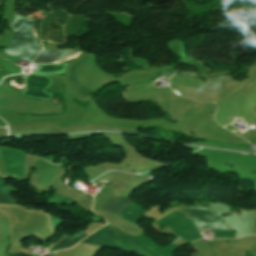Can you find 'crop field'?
Masks as SVG:
<instances>
[{"instance_id": "obj_2", "label": "crop field", "mask_w": 256, "mask_h": 256, "mask_svg": "<svg viewBox=\"0 0 256 256\" xmlns=\"http://www.w3.org/2000/svg\"><path fill=\"white\" fill-rule=\"evenodd\" d=\"M114 237H118L119 240H114ZM80 243H88L97 246L125 248L131 251H137L139 253L145 254L146 256H160L151 248L145 246L136 239L121 235L117 233L116 230L112 229L107 225L95 231L87 238L82 240Z\"/></svg>"}, {"instance_id": "obj_7", "label": "crop field", "mask_w": 256, "mask_h": 256, "mask_svg": "<svg viewBox=\"0 0 256 256\" xmlns=\"http://www.w3.org/2000/svg\"><path fill=\"white\" fill-rule=\"evenodd\" d=\"M0 204H14L5 187L0 188Z\"/></svg>"}, {"instance_id": "obj_4", "label": "crop field", "mask_w": 256, "mask_h": 256, "mask_svg": "<svg viewBox=\"0 0 256 256\" xmlns=\"http://www.w3.org/2000/svg\"><path fill=\"white\" fill-rule=\"evenodd\" d=\"M78 52L77 48L74 50H43L33 63H54Z\"/></svg>"}, {"instance_id": "obj_1", "label": "crop field", "mask_w": 256, "mask_h": 256, "mask_svg": "<svg viewBox=\"0 0 256 256\" xmlns=\"http://www.w3.org/2000/svg\"><path fill=\"white\" fill-rule=\"evenodd\" d=\"M13 30L11 45L5 50L7 54L32 62L42 50L35 40L32 30V20L17 16L9 22Z\"/></svg>"}, {"instance_id": "obj_6", "label": "crop field", "mask_w": 256, "mask_h": 256, "mask_svg": "<svg viewBox=\"0 0 256 256\" xmlns=\"http://www.w3.org/2000/svg\"><path fill=\"white\" fill-rule=\"evenodd\" d=\"M87 235L84 234L83 232L78 234V235H73L72 238L66 236L60 243H58L57 245L53 246L52 250L54 249H65V248H69L71 246H73L74 244H76L77 242H79L81 239H83L84 237H86Z\"/></svg>"}, {"instance_id": "obj_3", "label": "crop field", "mask_w": 256, "mask_h": 256, "mask_svg": "<svg viewBox=\"0 0 256 256\" xmlns=\"http://www.w3.org/2000/svg\"><path fill=\"white\" fill-rule=\"evenodd\" d=\"M190 219H192L197 228H213V230H229L222 224L223 215L212 210L190 207L181 210ZM198 230H211V229H198Z\"/></svg>"}, {"instance_id": "obj_9", "label": "crop field", "mask_w": 256, "mask_h": 256, "mask_svg": "<svg viewBox=\"0 0 256 256\" xmlns=\"http://www.w3.org/2000/svg\"><path fill=\"white\" fill-rule=\"evenodd\" d=\"M256 256V254H254Z\"/></svg>"}, {"instance_id": "obj_5", "label": "crop field", "mask_w": 256, "mask_h": 256, "mask_svg": "<svg viewBox=\"0 0 256 256\" xmlns=\"http://www.w3.org/2000/svg\"><path fill=\"white\" fill-rule=\"evenodd\" d=\"M132 203L129 196L117 195L109 197L104 205L103 211L121 215L124 206Z\"/></svg>"}, {"instance_id": "obj_8", "label": "crop field", "mask_w": 256, "mask_h": 256, "mask_svg": "<svg viewBox=\"0 0 256 256\" xmlns=\"http://www.w3.org/2000/svg\"><path fill=\"white\" fill-rule=\"evenodd\" d=\"M11 256H30V255L18 253V254H12Z\"/></svg>"}]
</instances>
